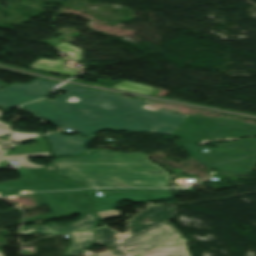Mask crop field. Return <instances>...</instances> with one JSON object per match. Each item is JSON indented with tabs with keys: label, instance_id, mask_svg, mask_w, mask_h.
Returning a JSON list of instances; mask_svg holds the SVG:
<instances>
[{
	"label": "crop field",
	"instance_id": "crop-field-12",
	"mask_svg": "<svg viewBox=\"0 0 256 256\" xmlns=\"http://www.w3.org/2000/svg\"><path fill=\"white\" fill-rule=\"evenodd\" d=\"M176 206H151L146 210L138 213L132 219L129 220L128 229L131 234L140 230L146 229L158 223L164 222L174 215ZM144 217H149L153 220L152 223L142 225L138 221Z\"/></svg>",
	"mask_w": 256,
	"mask_h": 256
},
{
	"label": "crop field",
	"instance_id": "crop-field-27",
	"mask_svg": "<svg viewBox=\"0 0 256 256\" xmlns=\"http://www.w3.org/2000/svg\"><path fill=\"white\" fill-rule=\"evenodd\" d=\"M0 256H4L3 253L0 251Z\"/></svg>",
	"mask_w": 256,
	"mask_h": 256
},
{
	"label": "crop field",
	"instance_id": "crop-field-22",
	"mask_svg": "<svg viewBox=\"0 0 256 256\" xmlns=\"http://www.w3.org/2000/svg\"><path fill=\"white\" fill-rule=\"evenodd\" d=\"M98 214L100 215L101 218H104V217L119 215L120 212L118 210L111 209V210L99 211Z\"/></svg>",
	"mask_w": 256,
	"mask_h": 256
},
{
	"label": "crop field",
	"instance_id": "crop-field-15",
	"mask_svg": "<svg viewBox=\"0 0 256 256\" xmlns=\"http://www.w3.org/2000/svg\"><path fill=\"white\" fill-rule=\"evenodd\" d=\"M29 67L39 68V69H43V70L64 73V74H69V75H74L79 72L77 70L62 67V59H57L55 61L38 59L36 62H34Z\"/></svg>",
	"mask_w": 256,
	"mask_h": 256
},
{
	"label": "crop field",
	"instance_id": "crop-field-8",
	"mask_svg": "<svg viewBox=\"0 0 256 256\" xmlns=\"http://www.w3.org/2000/svg\"><path fill=\"white\" fill-rule=\"evenodd\" d=\"M94 191H105L103 197H96ZM91 199L95 202L96 210L114 208L119 199H131L139 202H148L171 198L169 190H148V189H89Z\"/></svg>",
	"mask_w": 256,
	"mask_h": 256
},
{
	"label": "crop field",
	"instance_id": "crop-field-18",
	"mask_svg": "<svg viewBox=\"0 0 256 256\" xmlns=\"http://www.w3.org/2000/svg\"><path fill=\"white\" fill-rule=\"evenodd\" d=\"M1 114V112H0ZM10 125L5 124L3 122L0 121V135H4V134H11L9 141H20V140H24V139H28L32 136H36L38 135V133H19V132H14L9 128ZM0 141H6V140H0Z\"/></svg>",
	"mask_w": 256,
	"mask_h": 256
},
{
	"label": "crop field",
	"instance_id": "crop-field-21",
	"mask_svg": "<svg viewBox=\"0 0 256 256\" xmlns=\"http://www.w3.org/2000/svg\"><path fill=\"white\" fill-rule=\"evenodd\" d=\"M55 48L69 54L68 58H70L74 61H77L80 59V49L77 47H74L72 45H69V44L63 42L60 45L56 46Z\"/></svg>",
	"mask_w": 256,
	"mask_h": 256
},
{
	"label": "crop field",
	"instance_id": "crop-field-9",
	"mask_svg": "<svg viewBox=\"0 0 256 256\" xmlns=\"http://www.w3.org/2000/svg\"><path fill=\"white\" fill-rule=\"evenodd\" d=\"M55 82L37 79L29 84L16 83L0 90V105L4 109L36 99L49 93ZM34 87L30 89L29 87ZM1 107V106H0Z\"/></svg>",
	"mask_w": 256,
	"mask_h": 256
},
{
	"label": "crop field",
	"instance_id": "crop-field-16",
	"mask_svg": "<svg viewBox=\"0 0 256 256\" xmlns=\"http://www.w3.org/2000/svg\"><path fill=\"white\" fill-rule=\"evenodd\" d=\"M28 156H49V153L44 152V153H30V154H23V155H4L2 159L17 160L21 168L44 167V166H37L35 164L30 163L27 158Z\"/></svg>",
	"mask_w": 256,
	"mask_h": 256
},
{
	"label": "crop field",
	"instance_id": "crop-field-5",
	"mask_svg": "<svg viewBox=\"0 0 256 256\" xmlns=\"http://www.w3.org/2000/svg\"><path fill=\"white\" fill-rule=\"evenodd\" d=\"M81 191L66 192H46L34 193L38 204H47L52 210L49 215H37L24 219L23 223L30 222L34 219L59 217L73 213H83L92 211L90 201Z\"/></svg>",
	"mask_w": 256,
	"mask_h": 256
},
{
	"label": "crop field",
	"instance_id": "crop-field-13",
	"mask_svg": "<svg viewBox=\"0 0 256 256\" xmlns=\"http://www.w3.org/2000/svg\"><path fill=\"white\" fill-rule=\"evenodd\" d=\"M187 240L180 237L136 256H190Z\"/></svg>",
	"mask_w": 256,
	"mask_h": 256
},
{
	"label": "crop field",
	"instance_id": "crop-field-25",
	"mask_svg": "<svg viewBox=\"0 0 256 256\" xmlns=\"http://www.w3.org/2000/svg\"><path fill=\"white\" fill-rule=\"evenodd\" d=\"M2 153H3V150L0 149V156H1Z\"/></svg>",
	"mask_w": 256,
	"mask_h": 256
},
{
	"label": "crop field",
	"instance_id": "crop-field-19",
	"mask_svg": "<svg viewBox=\"0 0 256 256\" xmlns=\"http://www.w3.org/2000/svg\"><path fill=\"white\" fill-rule=\"evenodd\" d=\"M98 233L100 235L99 241H101L105 244H110L112 242L118 241V240L130 235L129 232L125 235H119L118 233L110 230L107 227L98 229Z\"/></svg>",
	"mask_w": 256,
	"mask_h": 256
},
{
	"label": "crop field",
	"instance_id": "crop-field-6",
	"mask_svg": "<svg viewBox=\"0 0 256 256\" xmlns=\"http://www.w3.org/2000/svg\"><path fill=\"white\" fill-rule=\"evenodd\" d=\"M186 150L209 168H214L230 173H246L254 160L253 154L223 152L203 149L189 143H182Z\"/></svg>",
	"mask_w": 256,
	"mask_h": 256
},
{
	"label": "crop field",
	"instance_id": "crop-field-7",
	"mask_svg": "<svg viewBox=\"0 0 256 256\" xmlns=\"http://www.w3.org/2000/svg\"><path fill=\"white\" fill-rule=\"evenodd\" d=\"M178 235L180 234L176 228L166 221L112 243L110 246L118 250L123 256H129Z\"/></svg>",
	"mask_w": 256,
	"mask_h": 256
},
{
	"label": "crop field",
	"instance_id": "crop-field-2",
	"mask_svg": "<svg viewBox=\"0 0 256 256\" xmlns=\"http://www.w3.org/2000/svg\"><path fill=\"white\" fill-rule=\"evenodd\" d=\"M48 168L87 187H169L167 173L142 153L86 150L82 156L56 159Z\"/></svg>",
	"mask_w": 256,
	"mask_h": 256
},
{
	"label": "crop field",
	"instance_id": "crop-field-20",
	"mask_svg": "<svg viewBox=\"0 0 256 256\" xmlns=\"http://www.w3.org/2000/svg\"><path fill=\"white\" fill-rule=\"evenodd\" d=\"M220 147H232V148H236L244 151H255L256 139L238 140L231 145H221Z\"/></svg>",
	"mask_w": 256,
	"mask_h": 256
},
{
	"label": "crop field",
	"instance_id": "crop-field-11",
	"mask_svg": "<svg viewBox=\"0 0 256 256\" xmlns=\"http://www.w3.org/2000/svg\"><path fill=\"white\" fill-rule=\"evenodd\" d=\"M95 220V214H84L81 215V219L75 223L67 225L46 224L44 226L22 227L19 234L30 235L33 232H38L40 234L68 233L77 230L91 228L94 226Z\"/></svg>",
	"mask_w": 256,
	"mask_h": 256
},
{
	"label": "crop field",
	"instance_id": "crop-field-23",
	"mask_svg": "<svg viewBox=\"0 0 256 256\" xmlns=\"http://www.w3.org/2000/svg\"><path fill=\"white\" fill-rule=\"evenodd\" d=\"M94 256H119L116 252L110 250V251H107V252H104V253H101V254H97V255H94Z\"/></svg>",
	"mask_w": 256,
	"mask_h": 256
},
{
	"label": "crop field",
	"instance_id": "crop-field-3",
	"mask_svg": "<svg viewBox=\"0 0 256 256\" xmlns=\"http://www.w3.org/2000/svg\"><path fill=\"white\" fill-rule=\"evenodd\" d=\"M256 135V125L231 119H214L187 115L173 135L192 141L214 137Z\"/></svg>",
	"mask_w": 256,
	"mask_h": 256
},
{
	"label": "crop field",
	"instance_id": "crop-field-26",
	"mask_svg": "<svg viewBox=\"0 0 256 256\" xmlns=\"http://www.w3.org/2000/svg\"><path fill=\"white\" fill-rule=\"evenodd\" d=\"M3 85H5V84H3V83L0 82V87L3 86Z\"/></svg>",
	"mask_w": 256,
	"mask_h": 256
},
{
	"label": "crop field",
	"instance_id": "crop-field-24",
	"mask_svg": "<svg viewBox=\"0 0 256 256\" xmlns=\"http://www.w3.org/2000/svg\"><path fill=\"white\" fill-rule=\"evenodd\" d=\"M180 236H181V235H180ZM180 236H178V237H180ZM178 237H175V238H178ZM175 238H173V239H175ZM173 239H170V240H173ZM170 240H168V241H170ZM168 241H165V242H168ZM165 242H163V243H165ZM163 243H160V244H163ZM160 244H158V245H160ZM158 245H155V246H158ZM155 246H153V247H155ZM153 247H150V248H153ZM150 248H148V249H150ZM148 249H145V250L140 251V252H138V253L144 252V251H146V250H148ZM138 253H136V254H138ZM136 254H134V255H136ZM132 256H133V255H132Z\"/></svg>",
	"mask_w": 256,
	"mask_h": 256
},
{
	"label": "crop field",
	"instance_id": "crop-field-4",
	"mask_svg": "<svg viewBox=\"0 0 256 256\" xmlns=\"http://www.w3.org/2000/svg\"><path fill=\"white\" fill-rule=\"evenodd\" d=\"M21 180L0 184V196L29 191L61 190L82 187L50 173L45 168L18 170Z\"/></svg>",
	"mask_w": 256,
	"mask_h": 256
},
{
	"label": "crop field",
	"instance_id": "crop-field-10",
	"mask_svg": "<svg viewBox=\"0 0 256 256\" xmlns=\"http://www.w3.org/2000/svg\"><path fill=\"white\" fill-rule=\"evenodd\" d=\"M45 137L52 144L53 156L81 154L91 140L82 136H65L58 133Z\"/></svg>",
	"mask_w": 256,
	"mask_h": 256
},
{
	"label": "crop field",
	"instance_id": "crop-field-1",
	"mask_svg": "<svg viewBox=\"0 0 256 256\" xmlns=\"http://www.w3.org/2000/svg\"><path fill=\"white\" fill-rule=\"evenodd\" d=\"M60 88L67 93L55 100L43 98L20 107L89 137L101 128L172 134L186 116L145 109L142 106L147 100L137 101L68 84ZM69 96L78 97V102H67Z\"/></svg>",
	"mask_w": 256,
	"mask_h": 256
},
{
	"label": "crop field",
	"instance_id": "crop-field-17",
	"mask_svg": "<svg viewBox=\"0 0 256 256\" xmlns=\"http://www.w3.org/2000/svg\"><path fill=\"white\" fill-rule=\"evenodd\" d=\"M111 87L112 88H117V89L133 91V92L144 93V94H150V92L152 90H154V88H152V87L142 85V84H138V83H134V82H130V81H126V80H123L121 83L114 84Z\"/></svg>",
	"mask_w": 256,
	"mask_h": 256
},
{
	"label": "crop field",
	"instance_id": "crop-field-14",
	"mask_svg": "<svg viewBox=\"0 0 256 256\" xmlns=\"http://www.w3.org/2000/svg\"><path fill=\"white\" fill-rule=\"evenodd\" d=\"M96 234L94 230L73 234L72 242L64 255H75L85 253L81 249L82 246H89L90 243L95 242Z\"/></svg>",
	"mask_w": 256,
	"mask_h": 256
}]
</instances>
